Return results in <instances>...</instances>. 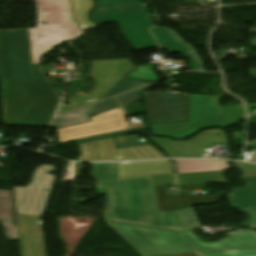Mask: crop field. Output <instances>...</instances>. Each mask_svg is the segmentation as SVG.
<instances>
[{
    "mask_svg": "<svg viewBox=\"0 0 256 256\" xmlns=\"http://www.w3.org/2000/svg\"><path fill=\"white\" fill-rule=\"evenodd\" d=\"M143 256H164L256 248V232L238 230L217 242L204 243L191 230L175 231L107 221Z\"/></svg>",
    "mask_w": 256,
    "mask_h": 256,
    "instance_id": "34b2d1b8",
    "label": "crop field"
},
{
    "mask_svg": "<svg viewBox=\"0 0 256 256\" xmlns=\"http://www.w3.org/2000/svg\"><path fill=\"white\" fill-rule=\"evenodd\" d=\"M92 76L97 80V84L92 93L85 95L79 92L70 102L73 106L62 104L57 115L75 110L77 108L92 104L100 100L111 87L123 76L122 74L133 66L128 60L94 62Z\"/></svg>",
    "mask_w": 256,
    "mask_h": 256,
    "instance_id": "dd49c442",
    "label": "crop field"
},
{
    "mask_svg": "<svg viewBox=\"0 0 256 256\" xmlns=\"http://www.w3.org/2000/svg\"><path fill=\"white\" fill-rule=\"evenodd\" d=\"M142 89H144V88H141L139 90H142ZM139 90L134 91V92L129 93V94H126V95H123V96H119L118 98H119L121 104L124 105V104H128V103H131V102H134V101H137V100L141 99V97L138 94Z\"/></svg>",
    "mask_w": 256,
    "mask_h": 256,
    "instance_id": "120bbe31",
    "label": "crop field"
},
{
    "mask_svg": "<svg viewBox=\"0 0 256 256\" xmlns=\"http://www.w3.org/2000/svg\"><path fill=\"white\" fill-rule=\"evenodd\" d=\"M93 107L94 106H91V107L58 117L52 129H59V128L91 121Z\"/></svg>",
    "mask_w": 256,
    "mask_h": 256,
    "instance_id": "bc2a9ffb",
    "label": "crop field"
},
{
    "mask_svg": "<svg viewBox=\"0 0 256 256\" xmlns=\"http://www.w3.org/2000/svg\"><path fill=\"white\" fill-rule=\"evenodd\" d=\"M225 192H218L211 196H190L186 192L188 208L198 204L215 203L224 196Z\"/></svg>",
    "mask_w": 256,
    "mask_h": 256,
    "instance_id": "a9b5d70f",
    "label": "crop field"
},
{
    "mask_svg": "<svg viewBox=\"0 0 256 256\" xmlns=\"http://www.w3.org/2000/svg\"><path fill=\"white\" fill-rule=\"evenodd\" d=\"M92 178L107 189L105 220L186 230L178 211L158 208L155 186L176 184L174 175L118 180L117 163H92Z\"/></svg>",
    "mask_w": 256,
    "mask_h": 256,
    "instance_id": "ac0d7876",
    "label": "crop field"
},
{
    "mask_svg": "<svg viewBox=\"0 0 256 256\" xmlns=\"http://www.w3.org/2000/svg\"><path fill=\"white\" fill-rule=\"evenodd\" d=\"M161 47L169 52H182V56L190 60L191 70L205 71L195 50L183 42L176 32L164 27L151 29Z\"/></svg>",
    "mask_w": 256,
    "mask_h": 256,
    "instance_id": "22f410ed",
    "label": "crop field"
},
{
    "mask_svg": "<svg viewBox=\"0 0 256 256\" xmlns=\"http://www.w3.org/2000/svg\"><path fill=\"white\" fill-rule=\"evenodd\" d=\"M233 165L243 172L242 177H255L256 176V165L245 164L241 162H233Z\"/></svg>",
    "mask_w": 256,
    "mask_h": 256,
    "instance_id": "1d83c4d3",
    "label": "crop field"
},
{
    "mask_svg": "<svg viewBox=\"0 0 256 256\" xmlns=\"http://www.w3.org/2000/svg\"><path fill=\"white\" fill-rule=\"evenodd\" d=\"M103 138H109V137H103ZM94 139H100V138H89V139H84V140H78L77 143L90 141V140H94Z\"/></svg>",
    "mask_w": 256,
    "mask_h": 256,
    "instance_id": "028f5c9d",
    "label": "crop field"
},
{
    "mask_svg": "<svg viewBox=\"0 0 256 256\" xmlns=\"http://www.w3.org/2000/svg\"><path fill=\"white\" fill-rule=\"evenodd\" d=\"M245 118L242 104L223 108L219 96L190 94V122L150 125L153 134L183 139L205 127H226Z\"/></svg>",
    "mask_w": 256,
    "mask_h": 256,
    "instance_id": "f4fd0767",
    "label": "crop field"
},
{
    "mask_svg": "<svg viewBox=\"0 0 256 256\" xmlns=\"http://www.w3.org/2000/svg\"><path fill=\"white\" fill-rule=\"evenodd\" d=\"M224 172L192 173L177 176L179 184L209 182L227 183L223 177Z\"/></svg>",
    "mask_w": 256,
    "mask_h": 256,
    "instance_id": "214f88e0",
    "label": "crop field"
},
{
    "mask_svg": "<svg viewBox=\"0 0 256 256\" xmlns=\"http://www.w3.org/2000/svg\"><path fill=\"white\" fill-rule=\"evenodd\" d=\"M6 124L11 125L16 118L24 98L21 95H2Z\"/></svg>",
    "mask_w": 256,
    "mask_h": 256,
    "instance_id": "92a150f3",
    "label": "crop field"
},
{
    "mask_svg": "<svg viewBox=\"0 0 256 256\" xmlns=\"http://www.w3.org/2000/svg\"><path fill=\"white\" fill-rule=\"evenodd\" d=\"M247 146H254V147H256V142L248 144Z\"/></svg>",
    "mask_w": 256,
    "mask_h": 256,
    "instance_id": "b80d0937",
    "label": "crop field"
},
{
    "mask_svg": "<svg viewBox=\"0 0 256 256\" xmlns=\"http://www.w3.org/2000/svg\"><path fill=\"white\" fill-rule=\"evenodd\" d=\"M248 161H254V162H256V150H255L254 154L250 155Z\"/></svg>",
    "mask_w": 256,
    "mask_h": 256,
    "instance_id": "5866460e",
    "label": "crop field"
},
{
    "mask_svg": "<svg viewBox=\"0 0 256 256\" xmlns=\"http://www.w3.org/2000/svg\"><path fill=\"white\" fill-rule=\"evenodd\" d=\"M196 256H256V249L202 253L196 254Z\"/></svg>",
    "mask_w": 256,
    "mask_h": 256,
    "instance_id": "730fd06b",
    "label": "crop field"
},
{
    "mask_svg": "<svg viewBox=\"0 0 256 256\" xmlns=\"http://www.w3.org/2000/svg\"><path fill=\"white\" fill-rule=\"evenodd\" d=\"M127 76L139 79H145L149 81L157 80L158 78L152 72V66L137 67V69Z\"/></svg>",
    "mask_w": 256,
    "mask_h": 256,
    "instance_id": "eef30255",
    "label": "crop field"
},
{
    "mask_svg": "<svg viewBox=\"0 0 256 256\" xmlns=\"http://www.w3.org/2000/svg\"><path fill=\"white\" fill-rule=\"evenodd\" d=\"M250 75H251L252 77H256V70H251Z\"/></svg>",
    "mask_w": 256,
    "mask_h": 256,
    "instance_id": "0bd39190",
    "label": "crop field"
},
{
    "mask_svg": "<svg viewBox=\"0 0 256 256\" xmlns=\"http://www.w3.org/2000/svg\"><path fill=\"white\" fill-rule=\"evenodd\" d=\"M128 128L121 108L94 116L92 122L57 130L60 142Z\"/></svg>",
    "mask_w": 256,
    "mask_h": 256,
    "instance_id": "d1516ede",
    "label": "crop field"
},
{
    "mask_svg": "<svg viewBox=\"0 0 256 256\" xmlns=\"http://www.w3.org/2000/svg\"><path fill=\"white\" fill-rule=\"evenodd\" d=\"M179 212L187 230L201 227L193 207Z\"/></svg>",
    "mask_w": 256,
    "mask_h": 256,
    "instance_id": "4177f3b9",
    "label": "crop field"
},
{
    "mask_svg": "<svg viewBox=\"0 0 256 256\" xmlns=\"http://www.w3.org/2000/svg\"><path fill=\"white\" fill-rule=\"evenodd\" d=\"M71 2L76 19L84 29L96 26V24L89 21L87 15L88 11L94 6L93 0H71Z\"/></svg>",
    "mask_w": 256,
    "mask_h": 256,
    "instance_id": "dafd665d",
    "label": "crop field"
},
{
    "mask_svg": "<svg viewBox=\"0 0 256 256\" xmlns=\"http://www.w3.org/2000/svg\"><path fill=\"white\" fill-rule=\"evenodd\" d=\"M170 211L187 208L185 192H180V197H169Z\"/></svg>",
    "mask_w": 256,
    "mask_h": 256,
    "instance_id": "750c4746",
    "label": "crop field"
},
{
    "mask_svg": "<svg viewBox=\"0 0 256 256\" xmlns=\"http://www.w3.org/2000/svg\"><path fill=\"white\" fill-rule=\"evenodd\" d=\"M116 148L148 144L146 141L139 142L136 135L115 137Z\"/></svg>",
    "mask_w": 256,
    "mask_h": 256,
    "instance_id": "ae1a2a85",
    "label": "crop field"
},
{
    "mask_svg": "<svg viewBox=\"0 0 256 256\" xmlns=\"http://www.w3.org/2000/svg\"><path fill=\"white\" fill-rule=\"evenodd\" d=\"M119 179L173 174L169 160L118 163Z\"/></svg>",
    "mask_w": 256,
    "mask_h": 256,
    "instance_id": "5142ce71",
    "label": "crop field"
},
{
    "mask_svg": "<svg viewBox=\"0 0 256 256\" xmlns=\"http://www.w3.org/2000/svg\"><path fill=\"white\" fill-rule=\"evenodd\" d=\"M204 186L205 184H187V185H179V189L192 191L196 188H204Z\"/></svg>",
    "mask_w": 256,
    "mask_h": 256,
    "instance_id": "d32e631a",
    "label": "crop field"
},
{
    "mask_svg": "<svg viewBox=\"0 0 256 256\" xmlns=\"http://www.w3.org/2000/svg\"><path fill=\"white\" fill-rule=\"evenodd\" d=\"M53 171H56L55 166L45 165L44 175L35 174L29 188H13L17 214H43L56 178L47 172ZM46 189L49 191L46 192Z\"/></svg>",
    "mask_w": 256,
    "mask_h": 256,
    "instance_id": "d8731c3e",
    "label": "crop field"
},
{
    "mask_svg": "<svg viewBox=\"0 0 256 256\" xmlns=\"http://www.w3.org/2000/svg\"><path fill=\"white\" fill-rule=\"evenodd\" d=\"M146 84L148 83L133 81L123 76L102 99L144 86Z\"/></svg>",
    "mask_w": 256,
    "mask_h": 256,
    "instance_id": "00972430",
    "label": "crop field"
},
{
    "mask_svg": "<svg viewBox=\"0 0 256 256\" xmlns=\"http://www.w3.org/2000/svg\"><path fill=\"white\" fill-rule=\"evenodd\" d=\"M251 32H256V28H252ZM253 46H256V39L251 41Z\"/></svg>",
    "mask_w": 256,
    "mask_h": 256,
    "instance_id": "e1f06a70",
    "label": "crop field"
},
{
    "mask_svg": "<svg viewBox=\"0 0 256 256\" xmlns=\"http://www.w3.org/2000/svg\"><path fill=\"white\" fill-rule=\"evenodd\" d=\"M177 166V174L191 172L224 171L232 169L228 161L213 160H173Z\"/></svg>",
    "mask_w": 256,
    "mask_h": 256,
    "instance_id": "4a817a6b",
    "label": "crop field"
},
{
    "mask_svg": "<svg viewBox=\"0 0 256 256\" xmlns=\"http://www.w3.org/2000/svg\"><path fill=\"white\" fill-rule=\"evenodd\" d=\"M0 223L8 240H18L14 221L12 191L0 190Z\"/></svg>",
    "mask_w": 256,
    "mask_h": 256,
    "instance_id": "733c2abd",
    "label": "crop field"
},
{
    "mask_svg": "<svg viewBox=\"0 0 256 256\" xmlns=\"http://www.w3.org/2000/svg\"><path fill=\"white\" fill-rule=\"evenodd\" d=\"M98 6L91 13L97 23L149 19L146 5L140 0H97Z\"/></svg>",
    "mask_w": 256,
    "mask_h": 256,
    "instance_id": "28ad6ade",
    "label": "crop field"
},
{
    "mask_svg": "<svg viewBox=\"0 0 256 256\" xmlns=\"http://www.w3.org/2000/svg\"><path fill=\"white\" fill-rule=\"evenodd\" d=\"M116 107H119V104L117 103L115 98L102 102L100 104L95 105L93 116Z\"/></svg>",
    "mask_w": 256,
    "mask_h": 256,
    "instance_id": "bd1437ed",
    "label": "crop field"
},
{
    "mask_svg": "<svg viewBox=\"0 0 256 256\" xmlns=\"http://www.w3.org/2000/svg\"><path fill=\"white\" fill-rule=\"evenodd\" d=\"M123 34L135 50L156 46L147 28L153 26L150 20L118 23Z\"/></svg>",
    "mask_w": 256,
    "mask_h": 256,
    "instance_id": "d9b57169",
    "label": "crop field"
},
{
    "mask_svg": "<svg viewBox=\"0 0 256 256\" xmlns=\"http://www.w3.org/2000/svg\"><path fill=\"white\" fill-rule=\"evenodd\" d=\"M148 138L170 157L204 158L205 152L211 149V145L228 144L224 131L219 129L204 131L188 141Z\"/></svg>",
    "mask_w": 256,
    "mask_h": 256,
    "instance_id": "5a996713",
    "label": "crop field"
},
{
    "mask_svg": "<svg viewBox=\"0 0 256 256\" xmlns=\"http://www.w3.org/2000/svg\"><path fill=\"white\" fill-rule=\"evenodd\" d=\"M146 97L151 123L188 121V95L170 92L143 93Z\"/></svg>",
    "mask_w": 256,
    "mask_h": 256,
    "instance_id": "3316defc",
    "label": "crop field"
},
{
    "mask_svg": "<svg viewBox=\"0 0 256 256\" xmlns=\"http://www.w3.org/2000/svg\"><path fill=\"white\" fill-rule=\"evenodd\" d=\"M247 185L239 189H232L229 200L232 207H240L250 219L242 226L256 228V177L241 179Z\"/></svg>",
    "mask_w": 256,
    "mask_h": 256,
    "instance_id": "cbeb9de0",
    "label": "crop field"
},
{
    "mask_svg": "<svg viewBox=\"0 0 256 256\" xmlns=\"http://www.w3.org/2000/svg\"><path fill=\"white\" fill-rule=\"evenodd\" d=\"M159 208L160 211H169L168 196H179V195H167L165 186L156 187Z\"/></svg>",
    "mask_w": 256,
    "mask_h": 256,
    "instance_id": "d3111659",
    "label": "crop field"
},
{
    "mask_svg": "<svg viewBox=\"0 0 256 256\" xmlns=\"http://www.w3.org/2000/svg\"><path fill=\"white\" fill-rule=\"evenodd\" d=\"M80 161L148 160L166 158L150 145L115 149L114 139L81 144Z\"/></svg>",
    "mask_w": 256,
    "mask_h": 256,
    "instance_id": "e52e79f7",
    "label": "crop field"
},
{
    "mask_svg": "<svg viewBox=\"0 0 256 256\" xmlns=\"http://www.w3.org/2000/svg\"><path fill=\"white\" fill-rule=\"evenodd\" d=\"M37 28L29 29L33 63L56 46L82 34L72 19L68 0H35ZM48 24H44L43 22Z\"/></svg>",
    "mask_w": 256,
    "mask_h": 256,
    "instance_id": "412701ff",
    "label": "crop field"
},
{
    "mask_svg": "<svg viewBox=\"0 0 256 256\" xmlns=\"http://www.w3.org/2000/svg\"><path fill=\"white\" fill-rule=\"evenodd\" d=\"M0 79L2 94L25 97L13 125H50L60 98L40 64H32L28 29L0 31Z\"/></svg>",
    "mask_w": 256,
    "mask_h": 256,
    "instance_id": "8a807250",
    "label": "crop field"
}]
</instances>
